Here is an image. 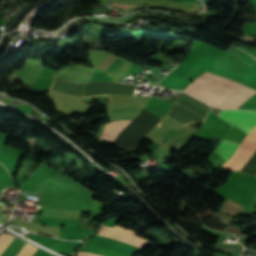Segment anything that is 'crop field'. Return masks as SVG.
I'll use <instances>...</instances> for the list:
<instances>
[{"instance_id": "obj_2", "label": "crop field", "mask_w": 256, "mask_h": 256, "mask_svg": "<svg viewBox=\"0 0 256 256\" xmlns=\"http://www.w3.org/2000/svg\"><path fill=\"white\" fill-rule=\"evenodd\" d=\"M256 153V127L245 137L233 157L222 167L241 171L248 161Z\"/></svg>"}, {"instance_id": "obj_4", "label": "crop field", "mask_w": 256, "mask_h": 256, "mask_svg": "<svg viewBox=\"0 0 256 256\" xmlns=\"http://www.w3.org/2000/svg\"><path fill=\"white\" fill-rule=\"evenodd\" d=\"M98 235L118 239L134 246L140 247L142 249H144L148 244L151 243L147 240L137 237L135 232L120 227L118 225H115L113 228L103 226L102 229L99 231Z\"/></svg>"}, {"instance_id": "obj_7", "label": "crop field", "mask_w": 256, "mask_h": 256, "mask_svg": "<svg viewBox=\"0 0 256 256\" xmlns=\"http://www.w3.org/2000/svg\"><path fill=\"white\" fill-rule=\"evenodd\" d=\"M238 146V143L223 140L215 151L227 161L234 154Z\"/></svg>"}, {"instance_id": "obj_3", "label": "crop field", "mask_w": 256, "mask_h": 256, "mask_svg": "<svg viewBox=\"0 0 256 256\" xmlns=\"http://www.w3.org/2000/svg\"><path fill=\"white\" fill-rule=\"evenodd\" d=\"M220 118L248 134L256 126V112L222 110Z\"/></svg>"}, {"instance_id": "obj_1", "label": "crop field", "mask_w": 256, "mask_h": 256, "mask_svg": "<svg viewBox=\"0 0 256 256\" xmlns=\"http://www.w3.org/2000/svg\"><path fill=\"white\" fill-rule=\"evenodd\" d=\"M184 92L217 107L237 109L256 91L238 82L204 73L196 79Z\"/></svg>"}, {"instance_id": "obj_5", "label": "crop field", "mask_w": 256, "mask_h": 256, "mask_svg": "<svg viewBox=\"0 0 256 256\" xmlns=\"http://www.w3.org/2000/svg\"><path fill=\"white\" fill-rule=\"evenodd\" d=\"M14 238L6 234H0V254ZM25 242L15 238L0 256H15L24 246Z\"/></svg>"}, {"instance_id": "obj_6", "label": "crop field", "mask_w": 256, "mask_h": 256, "mask_svg": "<svg viewBox=\"0 0 256 256\" xmlns=\"http://www.w3.org/2000/svg\"><path fill=\"white\" fill-rule=\"evenodd\" d=\"M131 121L132 120H121L107 124L100 139L111 143L116 138V136L125 128V126Z\"/></svg>"}]
</instances>
